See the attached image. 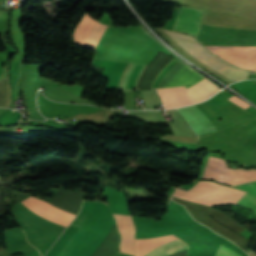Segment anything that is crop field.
<instances>
[{"label":"crop field","mask_w":256,"mask_h":256,"mask_svg":"<svg viewBox=\"0 0 256 256\" xmlns=\"http://www.w3.org/2000/svg\"><path fill=\"white\" fill-rule=\"evenodd\" d=\"M233 188L248 192L256 196V181L244 185L235 186ZM233 188L216 184L215 182L199 181V183L195 187L186 192H182L177 189L174 195L207 206L225 203L236 204L238 200L245 194V192ZM176 196L172 197L173 200L185 205L195 219L212 228L218 234L238 243L242 248L246 249L248 239L243 238L242 236L223 227L219 223L215 222L208 215L212 216L218 222L226 225L227 227L238 233L244 230V228L240 227L241 225L239 226L233 219L211 207L202 206L178 198ZM240 200L256 206V198L247 193ZM240 200L237 204L245 208L251 209L256 213V208L254 206L248 205Z\"/></svg>","instance_id":"obj_1"},{"label":"crop field","mask_w":256,"mask_h":256,"mask_svg":"<svg viewBox=\"0 0 256 256\" xmlns=\"http://www.w3.org/2000/svg\"><path fill=\"white\" fill-rule=\"evenodd\" d=\"M164 32L185 52L200 61L204 65L210 67L216 72L229 78L233 82L247 79L250 72L232 66L217 57L213 56L207 49L199 44L194 37L171 31Z\"/></svg>","instance_id":"obj_2"},{"label":"crop field","mask_w":256,"mask_h":256,"mask_svg":"<svg viewBox=\"0 0 256 256\" xmlns=\"http://www.w3.org/2000/svg\"><path fill=\"white\" fill-rule=\"evenodd\" d=\"M219 90L220 89L206 79L187 89L193 103L207 99ZM157 91L166 109L192 104L185 86L159 88Z\"/></svg>","instance_id":"obj_3"},{"label":"crop field","mask_w":256,"mask_h":256,"mask_svg":"<svg viewBox=\"0 0 256 256\" xmlns=\"http://www.w3.org/2000/svg\"><path fill=\"white\" fill-rule=\"evenodd\" d=\"M209 165L228 166L221 158L214 156ZM202 179H214L226 185L235 186L256 180V169L238 168L232 170L230 167L207 166Z\"/></svg>","instance_id":"obj_4"},{"label":"crop field","mask_w":256,"mask_h":256,"mask_svg":"<svg viewBox=\"0 0 256 256\" xmlns=\"http://www.w3.org/2000/svg\"><path fill=\"white\" fill-rule=\"evenodd\" d=\"M107 206L106 202L84 201L82 209L71 226L79 228L57 256H67L81 237Z\"/></svg>","instance_id":"obj_5"},{"label":"crop field","mask_w":256,"mask_h":256,"mask_svg":"<svg viewBox=\"0 0 256 256\" xmlns=\"http://www.w3.org/2000/svg\"><path fill=\"white\" fill-rule=\"evenodd\" d=\"M177 238L173 235L168 236H161L149 239H135V249H136V256H141L151 248L164 244ZM187 250V245L180 241L176 240L161 246H158L142 256H170L179 251Z\"/></svg>","instance_id":"obj_6"},{"label":"crop field","mask_w":256,"mask_h":256,"mask_svg":"<svg viewBox=\"0 0 256 256\" xmlns=\"http://www.w3.org/2000/svg\"><path fill=\"white\" fill-rule=\"evenodd\" d=\"M219 57L245 69H252L256 63V47L206 46ZM256 71V65L253 67ZM256 74V72H255Z\"/></svg>","instance_id":"obj_7"},{"label":"crop field","mask_w":256,"mask_h":256,"mask_svg":"<svg viewBox=\"0 0 256 256\" xmlns=\"http://www.w3.org/2000/svg\"><path fill=\"white\" fill-rule=\"evenodd\" d=\"M22 203L34 213L65 226L76 216L33 196L25 199Z\"/></svg>","instance_id":"obj_8"},{"label":"crop field","mask_w":256,"mask_h":256,"mask_svg":"<svg viewBox=\"0 0 256 256\" xmlns=\"http://www.w3.org/2000/svg\"><path fill=\"white\" fill-rule=\"evenodd\" d=\"M202 19L203 10L191 7H180L173 30L193 34L197 38Z\"/></svg>","instance_id":"obj_9"},{"label":"crop field","mask_w":256,"mask_h":256,"mask_svg":"<svg viewBox=\"0 0 256 256\" xmlns=\"http://www.w3.org/2000/svg\"><path fill=\"white\" fill-rule=\"evenodd\" d=\"M121 233L120 252L134 254L135 227L131 216L114 214ZM135 255V254H134Z\"/></svg>","instance_id":"obj_10"},{"label":"crop field","mask_w":256,"mask_h":256,"mask_svg":"<svg viewBox=\"0 0 256 256\" xmlns=\"http://www.w3.org/2000/svg\"><path fill=\"white\" fill-rule=\"evenodd\" d=\"M107 26L102 25L100 23H97L91 34H90V38H89V44L88 47L89 48H93L95 49L97 43L99 42L100 38L102 37L104 31L106 30Z\"/></svg>","instance_id":"obj_11"},{"label":"crop field","mask_w":256,"mask_h":256,"mask_svg":"<svg viewBox=\"0 0 256 256\" xmlns=\"http://www.w3.org/2000/svg\"><path fill=\"white\" fill-rule=\"evenodd\" d=\"M216 256H240V255L221 245Z\"/></svg>","instance_id":"obj_12"},{"label":"crop field","mask_w":256,"mask_h":256,"mask_svg":"<svg viewBox=\"0 0 256 256\" xmlns=\"http://www.w3.org/2000/svg\"><path fill=\"white\" fill-rule=\"evenodd\" d=\"M228 100L232 101L233 103L239 105L240 107H242L244 109L247 108L248 106H250V104L242 101L241 99H239V98H237L235 96L230 98V99H228Z\"/></svg>","instance_id":"obj_13"}]
</instances>
